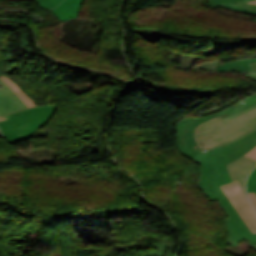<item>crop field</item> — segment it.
<instances>
[{"mask_svg": "<svg viewBox=\"0 0 256 256\" xmlns=\"http://www.w3.org/2000/svg\"><path fill=\"white\" fill-rule=\"evenodd\" d=\"M56 105L39 106L1 117L0 128L10 143L28 138L47 124Z\"/></svg>", "mask_w": 256, "mask_h": 256, "instance_id": "ac0d7876", "label": "crop field"}, {"mask_svg": "<svg viewBox=\"0 0 256 256\" xmlns=\"http://www.w3.org/2000/svg\"><path fill=\"white\" fill-rule=\"evenodd\" d=\"M251 66V69L254 73H256V63H249Z\"/></svg>", "mask_w": 256, "mask_h": 256, "instance_id": "00972430", "label": "crop field"}, {"mask_svg": "<svg viewBox=\"0 0 256 256\" xmlns=\"http://www.w3.org/2000/svg\"><path fill=\"white\" fill-rule=\"evenodd\" d=\"M249 191H256V169L252 172V174L248 178L247 192Z\"/></svg>", "mask_w": 256, "mask_h": 256, "instance_id": "d9b57169", "label": "crop field"}, {"mask_svg": "<svg viewBox=\"0 0 256 256\" xmlns=\"http://www.w3.org/2000/svg\"><path fill=\"white\" fill-rule=\"evenodd\" d=\"M256 146V130L225 145L212 148L229 164Z\"/></svg>", "mask_w": 256, "mask_h": 256, "instance_id": "e52e79f7", "label": "crop field"}, {"mask_svg": "<svg viewBox=\"0 0 256 256\" xmlns=\"http://www.w3.org/2000/svg\"><path fill=\"white\" fill-rule=\"evenodd\" d=\"M238 5L243 6V7H247V8H251V9H256V5L255 4L243 3V4H238Z\"/></svg>", "mask_w": 256, "mask_h": 256, "instance_id": "dafd665d", "label": "crop field"}, {"mask_svg": "<svg viewBox=\"0 0 256 256\" xmlns=\"http://www.w3.org/2000/svg\"><path fill=\"white\" fill-rule=\"evenodd\" d=\"M224 8H228V9H231V10H234V11H237V12L256 14L255 10L246 9V8H243V7H240V6H237V5L227 6V7H224Z\"/></svg>", "mask_w": 256, "mask_h": 256, "instance_id": "733c2abd", "label": "crop field"}, {"mask_svg": "<svg viewBox=\"0 0 256 256\" xmlns=\"http://www.w3.org/2000/svg\"><path fill=\"white\" fill-rule=\"evenodd\" d=\"M246 156L256 160V148L246 154Z\"/></svg>", "mask_w": 256, "mask_h": 256, "instance_id": "214f88e0", "label": "crop field"}, {"mask_svg": "<svg viewBox=\"0 0 256 256\" xmlns=\"http://www.w3.org/2000/svg\"><path fill=\"white\" fill-rule=\"evenodd\" d=\"M201 165L200 184L202 191L213 201L226 199L219 186L233 182L222 158L209 149L191 158Z\"/></svg>", "mask_w": 256, "mask_h": 256, "instance_id": "34b2d1b8", "label": "crop field"}, {"mask_svg": "<svg viewBox=\"0 0 256 256\" xmlns=\"http://www.w3.org/2000/svg\"><path fill=\"white\" fill-rule=\"evenodd\" d=\"M255 194H256V192H255Z\"/></svg>", "mask_w": 256, "mask_h": 256, "instance_id": "ae1a2a85", "label": "crop field"}, {"mask_svg": "<svg viewBox=\"0 0 256 256\" xmlns=\"http://www.w3.org/2000/svg\"><path fill=\"white\" fill-rule=\"evenodd\" d=\"M243 0H209L208 4L211 8L241 3Z\"/></svg>", "mask_w": 256, "mask_h": 256, "instance_id": "cbeb9de0", "label": "crop field"}, {"mask_svg": "<svg viewBox=\"0 0 256 256\" xmlns=\"http://www.w3.org/2000/svg\"><path fill=\"white\" fill-rule=\"evenodd\" d=\"M250 1V0H244L243 2Z\"/></svg>", "mask_w": 256, "mask_h": 256, "instance_id": "730fd06b", "label": "crop field"}, {"mask_svg": "<svg viewBox=\"0 0 256 256\" xmlns=\"http://www.w3.org/2000/svg\"><path fill=\"white\" fill-rule=\"evenodd\" d=\"M256 128V109L228 122L220 116L199 125L195 139L201 150L225 144Z\"/></svg>", "mask_w": 256, "mask_h": 256, "instance_id": "8a807250", "label": "crop field"}, {"mask_svg": "<svg viewBox=\"0 0 256 256\" xmlns=\"http://www.w3.org/2000/svg\"><path fill=\"white\" fill-rule=\"evenodd\" d=\"M247 194H248V196L250 197V199H251L253 205H254L255 208H256V195L254 194V192H250V193H247Z\"/></svg>", "mask_w": 256, "mask_h": 256, "instance_id": "bc2a9ffb", "label": "crop field"}, {"mask_svg": "<svg viewBox=\"0 0 256 256\" xmlns=\"http://www.w3.org/2000/svg\"><path fill=\"white\" fill-rule=\"evenodd\" d=\"M255 165H256V161L246 156H242L239 159L232 162L231 164L227 165L228 171L233 181L238 180L244 192H245L246 178L251 172V170L255 167Z\"/></svg>", "mask_w": 256, "mask_h": 256, "instance_id": "5a996713", "label": "crop field"}, {"mask_svg": "<svg viewBox=\"0 0 256 256\" xmlns=\"http://www.w3.org/2000/svg\"><path fill=\"white\" fill-rule=\"evenodd\" d=\"M250 247H251V248H256V245H251V244H250Z\"/></svg>", "mask_w": 256, "mask_h": 256, "instance_id": "a9b5d70f", "label": "crop field"}, {"mask_svg": "<svg viewBox=\"0 0 256 256\" xmlns=\"http://www.w3.org/2000/svg\"><path fill=\"white\" fill-rule=\"evenodd\" d=\"M249 3H256V0H255V1H253V2H249Z\"/></svg>", "mask_w": 256, "mask_h": 256, "instance_id": "4177f3b9", "label": "crop field"}, {"mask_svg": "<svg viewBox=\"0 0 256 256\" xmlns=\"http://www.w3.org/2000/svg\"><path fill=\"white\" fill-rule=\"evenodd\" d=\"M1 75H3V74L0 73V76H1Z\"/></svg>", "mask_w": 256, "mask_h": 256, "instance_id": "eef30255", "label": "crop field"}, {"mask_svg": "<svg viewBox=\"0 0 256 256\" xmlns=\"http://www.w3.org/2000/svg\"><path fill=\"white\" fill-rule=\"evenodd\" d=\"M0 79L3 80L6 84H8L15 93H17L29 108L35 107L33 101L30 100L28 96L14 82H12L4 76H1Z\"/></svg>", "mask_w": 256, "mask_h": 256, "instance_id": "22f410ed", "label": "crop field"}, {"mask_svg": "<svg viewBox=\"0 0 256 256\" xmlns=\"http://www.w3.org/2000/svg\"><path fill=\"white\" fill-rule=\"evenodd\" d=\"M221 189L230 199L239 215L253 233H256V210L252 207L248 197L242 191L238 181L221 186Z\"/></svg>", "mask_w": 256, "mask_h": 256, "instance_id": "dd49c442", "label": "crop field"}, {"mask_svg": "<svg viewBox=\"0 0 256 256\" xmlns=\"http://www.w3.org/2000/svg\"><path fill=\"white\" fill-rule=\"evenodd\" d=\"M198 58L197 57H191V56H185L183 55L181 58V65L182 69H188L190 70V66L194 61H196ZM187 70V71H188Z\"/></svg>", "mask_w": 256, "mask_h": 256, "instance_id": "5142ce71", "label": "crop field"}, {"mask_svg": "<svg viewBox=\"0 0 256 256\" xmlns=\"http://www.w3.org/2000/svg\"><path fill=\"white\" fill-rule=\"evenodd\" d=\"M0 117L11 112L28 108L11 88L0 80Z\"/></svg>", "mask_w": 256, "mask_h": 256, "instance_id": "d8731c3e", "label": "crop field"}, {"mask_svg": "<svg viewBox=\"0 0 256 256\" xmlns=\"http://www.w3.org/2000/svg\"><path fill=\"white\" fill-rule=\"evenodd\" d=\"M245 77L256 80V74L247 73L245 75ZM242 101H245V104H242ZM254 105H256V94L251 95V96L239 101L235 105H232L228 108H225V109H223V110H221L217 113H219L220 116H222L224 118L226 116H229V115H232L234 113L240 112V111H242L244 109H247V108H249L251 106H254Z\"/></svg>", "mask_w": 256, "mask_h": 256, "instance_id": "28ad6ade", "label": "crop field"}, {"mask_svg": "<svg viewBox=\"0 0 256 256\" xmlns=\"http://www.w3.org/2000/svg\"><path fill=\"white\" fill-rule=\"evenodd\" d=\"M248 62H256V58H249L237 61H231L223 63L216 71H241V72H252Z\"/></svg>", "mask_w": 256, "mask_h": 256, "instance_id": "d1516ede", "label": "crop field"}, {"mask_svg": "<svg viewBox=\"0 0 256 256\" xmlns=\"http://www.w3.org/2000/svg\"><path fill=\"white\" fill-rule=\"evenodd\" d=\"M84 0H65L57 8L50 10L61 22L78 17Z\"/></svg>", "mask_w": 256, "mask_h": 256, "instance_id": "3316defc", "label": "crop field"}, {"mask_svg": "<svg viewBox=\"0 0 256 256\" xmlns=\"http://www.w3.org/2000/svg\"><path fill=\"white\" fill-rule=\"evenodd\" d=\"M253 108H256V106L251 107V108H249V109H247V110H244V111H242V112H240V113L234 114V115H232V116H229V117L225 118V120L227 121V120H229V119H231V118H233V117H235V116H237V115H240V114H242V113H244V112H246V111H248V110H251V109H253Z\"/></svg>", "mask_w": 256, "mask_h": 256, "instance_id": "92a150f3", "label": "crop field"}, {"mask_svg": "<svg viewBox=\"0 0 256 256\" xmlns=\"http://www.w3.org/2000/svg\"><path fill=\"white\" fill-rule=\"evenodd\" d=\"M63 0H50L48 2L39 3V5L43 6L44 8H53L60 4Z\"/></svg>", "mask_w": 256, "mask_h": 256, "instance_id": "4a817a6b", "label": "crop field"}, {"mask_svg": "<svg viewBox=\"0 0 256 256\" xmlns=\"http://www.w3.org/2000/svg\"><path fill=\"white\" fill-rule=\"evenodd\" d=\"M219 204L228 216V218L223 219L228 233V241L226 243L234 247L243 240L256 244V234L250 231L229 199L219 201Z\"/></svg>", "mask_w": 256, "mask_h": 256, "instance_id": "f4fd0767", "label": "crop field"}, {"mask_svg": "<svg viewBox=\"0 0 256 256\" xmlns=\"http://www.w3.org/2000/svg\"><path fill=\"white\" fill-rule=\"evenodd\" d=\"M216 116H218L217 113L203 117H190L177 122V138L175 142L176 149L181 154L189 158L201 153L202 151L198 148L194 140V130L200 123L210 120Z\"/></svg>", "mask_w": 256, "mask_h": 256, "instance_id": "412701ff", "label": "crop field"}]
</instances>
